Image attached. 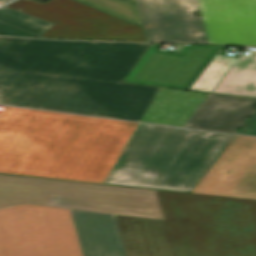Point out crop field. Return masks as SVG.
<instances>
[{
    "mask_svg": "<svg viewBox=\"0 0 256 256\" xmlns=\"http://www.w3.org/2000/svg\"><path fill=\"white\" fill-rule=\"evenodd\" d=\"M234 137L4 106L0 173L190 192Z\"/></svg>",
    "mask_w": 256,
    "mask_h": 256,
    "instance_id": "8a807250",
    "label": "crop field"
},
{
    "mask_svg": "<svg viewBox=\"0 0 256 256\" xmlns=\"http://www.w3.org/2000/svg\"><path fill=\"white\" fill-rule=\"evenodd\" d=\"M150 45L0 37V104L140 122L158 88L121 83Z\"/></svg>",
    "mask_w": 256,
    "mask_h": 256,
    "instance_id": "ac0d7876",
    "label": "crop field"
},
{
    "mask_svg": "<svg viewBox=\"0 0 256 256\" xmlns=\"http://www.w3.org/2000/svg\"><path fill=\"white\" fill-rule=\"evenodd\" d=\"M42 206L164 220L175 256H256V201L81 192L67 181L0 174V208Z\"/></svg>",
    "mask_w": 256,
    "mask_h": 256,
    "instance_id": "34b2d1b8",
    "label": "crop field"
},
{
    "mask_svg": "<svg viewBox=\"0 0 256 256\" xmlns=\"http://www.w3.org/2000/svg\"><path fill=\"white\" fill-rule=\"evenodd\" d=\"M143 29L147 42L256 46V0H77Z\"/></svg>",
    "mask_w": 256,
    "mask_h": 256,
    "instance_id": "412701ff",
    "label": "crop field"
},
{
    "mask_svg": "<svg viewBox=\"0 0 256 256\" xmlns=\"http://www.w3.org/2000/svg\"><path fill=\"white\" fill-rule=\"evenodd\" d=\"M0 256H80L68 211L29 204L0 209Z\"/></svg>",
    "mask_w": 256,
    "mask_h": 256,
    "instance_id": "f4fd0767",
    "label": "crop field"
},
{
    "mask_svg": "<svg viewBox=\"0 0 256 256\" xmlns=\"http://www.w3.org/2000/svg\"><path fill=\"white\" fill-rule=\"evenodd\" d=\"M6 7L55 23L40 38L146 42L141 28L73 0H19Z\"/></svg>",
    "mask_w": 256,
    "mask_h": 256,
    "instance_id": "dd49c442",
    "label": "crop field"
},
{
    "mask_svg": "<svg viewBox=\"0 0 256 256\" xmlns=\"http://www.w3.org/2000/svg\"><path fill=\"white\" fill-rule=\"evenodd\" d=\"M152 44L124 82L188 89L222 46L184 45L179 54Z\"/></svg>",
    "mask_w": 256,
    "mask_h": 256,
    "instance_id": "e52e79f7",
    "label": "crop field"
},
{
    "mask_svg": "<svg viewBox=\"0 0 256 256\" xmlns=\"http://www.w3.org/2000/svg\"><path fill=\"white\" fill-rule=\"evenodd\" d=\"M255 163L256 138L236 136L192 192L228 196Z\"/></svg>",
    "mask_w": 256,
    "mask_h": 256,
    "instance_id": "d8731c3e",
    "label": "crop field"
},
{
    "mask_svg": "<svg viewBox=\"0 0 256 256\" xmlns=\"http://www.w3.org/2000/svg\"><path fill=\"white\" fill-rule=\"evenodd\" d=\"M68 211L81 256H125L112 215Z\"/></svg>",
    "mask_w": 256,
    "mask_h": 256,
    "instance_id": "5a996713",
    "label": "crop field"
},
{
    "mask_svg": "<svg viewBox=\"0 0 256 256\" xmlns=\"http://www.w3.org/2000/svg\"><path fill=\"white\" fill-rule=\"evenodd\" d=\"M113 216L126 256H174L163 221Z\"/></svg>",
    "mask_w": 256,
    "mask_h": 256,
    "instance_id": "3316defc",
    "label": "crop field"
},
{
    "mask_svg": "<svg viewBox=\"0 0 256 256\" xmlns=\"http://www.w3.org/2000/svg\"><path fill=\"white\" fill-rule=\"evenodd\" d=\"M255 108L256 99L210 94L185 127L236 133Z\"/></svg>",
    "mask_w": 256,
    "mask_h": 256,
    "instance_id": "28ad6ade",
    "label": "crop field"
},
{
    "mask_svg": "<svg viewBox=\"0 0 256 256\" xmlns=\"http://www.w3.org/2000/svg\"><path fill=\"white\" fill-rule=\"evenodd\" d=\"M207 95L159 88L142 121L183 126Z\"/></svg>",
    "mask_w": 256,
    "mask_h": 256,
    "instance_id": "d1516ede",
    "label": "crop field"
},
{
    "mask_svg": "<svg viewBox=\"0 0 256 256\" xmlns=\"http://www.w3.org/2000/svg\"><path fill=\"white\" fill-rule=\"evenodd\" d=\"M213 92L256 98V51L242 55Z\"/></svg>",
    "mask_w": 256,
    "mask_h": 256,
    "instance_id": "22f410ed",
    "label": "crop field"
},
{
    "mask_svg": "<svg viewBox=\"0 0 256 256\" xmlns=\"http://www.w3.org/2000/svg\"><path fill=\"white\" fill-rule=\"evenodd\" d=\"M234 61V58L216 55L189 89L210 92Z\"/></svg>",
    "mask_w": 256,
    "mask_h": 256,
    "instance_id": "cbeb9de0",
    "label": "crop field"
},
{
    "mask_svg": "<svg viewBox=\"0 0 256 256\" xmlns=\"http://www.w3.org/2000/svg\"><path fill=\"white\" fill-rule=\"evenodd\" d=\"M0 21L39 36L53 25V23L19 13L6 7L0 9Z\"/></svg>",
    "mask_w": 256,
    "mask_h": 256,
    "instance_id": "5142ce71",
    "label": "crop field"
},
{
    "mask_svg": "<svg viewBox=\"0 0 256 256\" xmlns=\"http://www.w3.org/2000/svg\"><path fill=\"white\" fill-rule=\"evenodd\" d=\"M70 183L73 184L78 189H80L81 191H91V192L129 193V194H148V195H172V196H196V197L213 196V195H204V194H195V193L185 194V193L152 191V190L83 184V183H73V182H70Z\"/></svg>",
    "mask_w": 256,
    "mask_h": 256,
    "instance_id": "d9b57169",
    "label": "crop field"
},
{
    "mask_svg": "<svg viewBox=\"0 0 256 256\" xmlns=\"http://www.w3.org/2000/svg\"><path fill=\"white\" fill-rule=\"evenodd\" d=\"M229 196L256 199V164L245 174Z\"/></svg>",
    "mask_w": 256,
    "mask_h": 256,
    "instance_id": "733c2abd",
    "label": "crop field"
},
{
    "mask_svg": "<svg viewBox=\"0 0 256 256\" xmlns=\"http://www.w3.org/2000/svg\"><path fill=\"white\" fill-rule=\"evenodd\" d=\"M0 34L3 35H18V36H29V37H35L38 38L39 36L32 35L26 32H23L21 30H18L16 28H13L11 26H8L6 24H3L0 22Z\"/></svg>",
    "mask_w": 256,
    "mask_h": 256,
    "instance_id": "4a817a6b",
    "label": "crop field"
},
{
    "mask_svg": "<svg viewBox=\"0 0 256 256\" xmlns=\"http://www.w3.org/2000/svg\"><path fill=\"white\" fill-rule=\"evenodd\" d=\"M239 134L256 136V113L252 116Z\"/></svg>",
    "mask_w": 256,
    "mask_h": 256,
    "instance_id": "bc2a9ffb",
    "label": "crop field"
},
{
    "mask_svg": "<svg viewBox=\"0 0 256 256\" xmlns=\"http://www.w3.org/2000/svg\"><path fill=\"white\" fill-rule=\"evenodd\" d=\"M6 1H8V0H0V4L4 3Z\"/></svg>",
    "mask_w": 256,
    "mask_h": 256,
    "instance_id": "214f88e0",
    "label": "crop field"
}]
</instances>
